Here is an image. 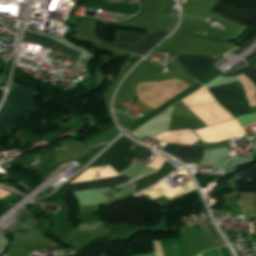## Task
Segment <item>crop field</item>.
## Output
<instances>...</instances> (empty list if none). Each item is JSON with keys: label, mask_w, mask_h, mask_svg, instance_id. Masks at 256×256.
I'll use <instances>...</instances> for the list:
<instances>
[{"label": "crop field", "mask_w": 256, "mask_h": 256, "mask_svg": "<svg viewBox=\"0 0 256 256\" xmlns=\"http://www.w3.org/2000/svg\"><path fill=\"white\" fill-rule=\"evenodd\" d=\"M212 13L246 26L256 18V0H219Z\"/></svg>", "instance_id": "8a807250"}, {"label": "crop field", "mask_w": 256, "mask_h": 256, "mask_svg": "<svg viewBox=\"0 0 256 256\" xmlns=\"http://www.w3.org/2000/svg\"><path fill=\"white\" fill-rule=\"evenodd\" d=\"M229 85L250 110L242 85L239 82L231 83ZM229 85L210 88L208 90L212 93L216 100L233 115L238 116L248 114L250 112L252 113L251 110L249 112V110L245 107Z\"/></svg>", "instance_id": "ac0d7876"}, {"label": "crop field", "mask_w": 256, "mask_h": 256, "mask_svg": "<svg viewBox=\"0 0 256 256\" xmlns=\"http://www.w3.org/2000/svg\"><path fill=\"white\" fill-rule=\"evenodd\" d=\"M169 33V31H160L150 36H143L144 34L140 35L137 33L121 31V34L114 45L119 46L129 52L144 55Z\"/></svg>", "instance_id": "34b2d1b8"}, {"label": "crop field", "mask_w": 256, "mask_h": 256, "mask_svg": "<svg viewBox=\"0 0 256 256\" xmlns=\"http://www.w3.org/2000/svg\"><path fill=\"white\" fill-rule=\"evenodd\" d=\"M137 147L138 146L123 139L101 159L109 163L119 173L132 163L134 157L144 159L143 156L131 154Z\"/></svg>", "instance_id": "412701ff"}, {"label": "crop field", "mask_w": 256, "mask_h": 256, "mask_svg": "<svg viewBox=\"0 0 256 256\" xmlns=\"http://www.w3.org/2000/svg\"><path fill=\"white\" fill-rule=\"evenodd\" d=\"M219 56H180L177 59L190 75L199 80L212 71L210 65Z\"/></svg>", "instance_id": "f4fd0767"}, {"label": "crop field", "mask_w": 256, "mask_h": 256, "mask_svg": "<svg viewBox=\"0 0 256 256\" xmlns=\"http://www.w3.org/2000/svg\"><path fill=\"white\" fill-rule=\"evenodd\" d=\"M10 233L14 238L43 236L39 231L37 219L31 212L21 214L18 224Z\"/></svg>", "instance_id": "dd49c442"}, {"label": "crop field", "mask_w": 256, "mask_h": 256, "mask_svg": "<svg viewBox=\"0 0 256 256\" xmlns=\"http://www.w3.org/2000/svg\"><path fill=\"white\" fill-rule=\"evenodd\" d=\"M128 180L129 179L123 176H117V177L92 180V181H86V182H80V183H74V184H67V186L70 192H74V191L112 187L114 185H120Z\"/></svg>", "instance_id": "e52e79f7"}, {"label": "crop field", "mask_w": 256, "mask_h": 256, "mask_svg": "<svg viewBox=\"0 0 256 256\" xmlns=\"http://www.w3.org/2000/svg\"><path fill=\"white\" fill-rule=\"evenodd\" d=\"M26 42H31V43H35L41 46H44L46 48L49 49H53L55 51H58L60 53L66 54V55H70L73 57L78 58L80 53L48 38L45 36H41V35H37V34H33V33H29V32H25L24 34V38H23Z\"/></svg>", "instance_id": "d8731c3e"}, {"label": "crop field", "mask_w": 256, "mask_h": 256, "mask_svg": "<svg viewBox=\"0 0 256 256\" xmlns=\"http://www.w3.org/2000/svg\"><path fill=\"white\" fill-rule=\"evenodd\" d=\"M88 6L136 14L139 4L109 3L107 0H87Z\"/></svg>", "instance_id": "5a996713"}, {"label": "crop field", "mask_w": 256, "mask_h": 256, "mask_svg": "<svg viewBox=\"0 0 256 256\" xmlns=\"http://www.w3.org/2000/svg\"><path fill=\"white\" fill-rule=\"evenodd\" d=\"M164 256H187L179 239L160 241Z\"/></svg>", "instance_id": "3316defc"}, {"label": "crop field", "mask_w": 256, "mask_h": 256, "mask_svg": "<svg viewBox=\"0 0 256 256\" xmlns=\"http://www.w3.org/2000/svg\"><path fill=\"white\" fill-rule=\"evenodd\" d=\"M204 145L194 144L192 145L187 158L201 160L203 155Z\"/></svg>", "instance_id": "28ad6ade"}, {"label": "crop field", "mask_w": 256, "mask_h": 256, "mask_svg": "<svg viewBox=\"0 0 256 256\" xmlns=\"http://www.w3.org/2000/svg\"><path fill=\"white\" fill-rule=\"evenodd\" d=\"M189 149H190V146L181 145L174 157H176L178 160L183 162L187 153H188V151H189Z\"/></svg>", "instance_id": "d1516ede"}, {"label": "crop field", "mask_w": 256, "mask_h": 256, "mask_svg": "<svg viewBox=\"0 0 256 256\" xmlns=\"http://www.w3.org/2000/svg\"><path fill=\"white\" fill-rule=\"evenodd\" d=\"M178 147H179L178 144H168V143H166L165 147L163 148V151H166L167 153L174 156Z\"/></svg>", "instance_id": "22f410ed"}, {"label": "crop field", "mask_w": 256, "mask_h": 256, "mask_svg": "<svg viewBox=\"0 0 256 256\" xmlns=\"http://www.w3.org/2000/svg\"><path fill=\"white\" fill-rule=\"evenodd\" d=\"M256 86V71L255 69H250L248 71L243 72Z\"/></svg>", "instance_id": "cbeb9de0"}, {"label": "crop field", "mask_w": 256, "mask_h": 256, "mask_svg": "<svg viewBox=\"0 0 256 256\" xmlns=\"http://www.w3.org/2000/svg\"><path fill=\"white\" fill-rule=\"evenodd\" d=\"M150 151V149H147L145 147L140 146L136 151H134V154H139V155H143L146 156L148 154V152Z\"/></svg>", "instance_id": "5142ce71"}, {"label": "crop field", "mask_w": 256, "mask_h": 256, "mask_svg": "<svg viewBox=\"0 0 256 256\" xmlns=\"http://www.w3.org/2000/svg\"><path fill=\"white\" fill-rule=\"evenodd\" d=\"M202 254H203V256H219L218 249L211 250V251H208V252H204ZM220 255H221V253H220Z\"/></svg>", "instance_id": "d9b57169"}, {"label": "crop field", "mask_w": 256, "mask_h": 256, "mask_svg": "<svg viewBox=\"0 0 256 256\" xmlns=\"http://www.w3.org/2000/svg\"><path fill=\"white\" fill-rule=\"evenodd\" d=\"M253 65H254V67L256 68V60L254 61Z\"/></svg>", "instance_id": "733c2abd"}]
</instances>
